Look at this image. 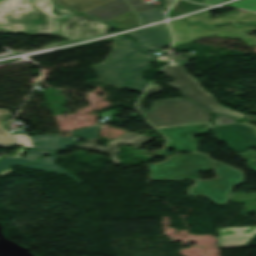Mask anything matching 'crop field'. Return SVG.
I'll use <instances>...</instances> for the list:
<instances>
[{
    "mask_svg": "<svg viewBox=\"0 0 256 256\" xmlns=\"http://www.w3.org/2000/svg\"><path fill=\"white\" fill-rule=\"evenodd\" d=\"M154 138H150L147 136H143L140 134H136L133 132H127L115 139H113L112 141L108 142L107 147H100L99 145L95 144V142L97 140H99L98 138H94V139H90L87 140V142L89 144H82L79 143L77 144L75 147H81V148H86V149H90V150H94V151H98V152H103V153H107L111 156L112 160L114 163H119L116 156H115V152H117V147L120 144H128L131 145L135 148L139 147L140 145L152 140Z\"/></svg>",
    "mask_w": 256,
    "mask_h": 256,
    "instance_id": "3316defc",
    "label": "crop field"
},
{
    "mask_svg": "<svg viewBox=\"0 0 256 256\" xmlns=\"http://www.w3.org/2000/svg\"><path fill=\"white\" fill-rule=\"evenodd\" d=\"M1 119H12L8 109H0V146L7 148L12 145V139L8 134V130L3 129Z\"/></svg>",
    "mask_w": 256,
    "mask_h": 256,
    "instance_id": "214f88e0",
    "label": "crop field"
},
{
    "mask_svg": "<svg viewBox=\"0 0 256 256\" xmlns=\"http://www.w3.org/2000/svg\"><path fill=\"white\" fill-rule=\"evenodd\" d=\"M211 15L209 12H204L201 14H197L195 16L186 18L190 23L196 24H218V23H232L233 21L249 24L256 26V13L246 12L240 10L237 16H226V17H217L216 20L210 19Z\"/></svg>",
    "mask_w": 256,
    "mask_h": 256,
    "instance_id": "22f410ed",
    "label": "crop field"
},
{
    "mask_svg": "<svg viewBox=\"0 0 256 256\" xmlns=\"http://www.w3.org/2000/svg\"><path fill=\"white\" fill-rule=\"evenodd\" d=\"M112 0H56L57 4L80 13Z\"/></svg>",
    "mask_w": 256,
    "mask_h": 256,
    "instance_id": "5142ce71",
    "label": "crop field"
},
{
    "mask_svg": "<svg viewBox=\"0 0 256 256\" xmlns=\"http://www.w3.org/2000/svg\"><path fill=\"white\" fill-rule=\"evenodd\" d=\"M213 122H214V125H218V124L232 123L236 121L229 117L216 115Z\"/></svg>",
    "mask_w": 256,
    "mask_h": 256,
    "instance_id": "ae1a2a85",
    "label": "crop field"
},
{
    "mask_svg": "<svg viewBox=\"0 0 256 256\" xmlns=\"http://www.w3.org/2000/svg\"><path fill=\"white\" fill-rule=\"evenodd\" d=\"M219 1H222V0H203V2L205 4H212V3H215V2H219Z\"/></svg>",
    "mask_w": 256,
    "mask_h": 256,
    "instance_id": "750c4746",
    "label": "crop field"
},
{
    "mask_svg": "<svg viewBox=\"0 0 256 256\" xmlns=\"http://www.w3.org/2000/svg\"><path fill=\"white\" fill-rule=\"evenodd\" d=\"M160 86L158 84H152L149 86V88L146 90V92L144 93V95L139 99L138 101V110L144 114V108H143V104L145 102V100L149 97L147 96V94H150V96L156 92H160Z\"/></svg>",
    "mask_w": 256,
    "mask_h": 256,
    "instance_id": "00972430",
    "label": "crop field"
},
{
    "mask_svg": "<svg viewBox=\"0 0 256 256\" xmlns=\"http://www.w3.org/2000/svg\"><path fill=\"white\" fill-rule=\"evenodd\" d=\"M252 170L256 171V167L251 168Z\"/></svg>",
    "mask_w": 256,
    "mask_h": 256,
    "instance_id": "1d83c4d3",
    "label": "crop field"
},
{
    "mask_svg": "<svg viewBox=\"0 0 256 256\" xmlns=\"http://www.w3.org/2000/svg\"><path fill=\"white\" fill-rule=\"evenodd\" d=\"M190 27L194 40L199 37L213 36L216 34L217 36L221 37H238L242 39L248 46H256V38L248 37L246 35V32L249 30L256 31V28L254 27L246 26L242 28H230L228 26H224L220 28H204L201 26L193 25Z\"/></svg>",
    "mask_w": 256,
    "mask_h": 256,
    "instance_id": "d1516ede",
    "label": "crop field"
},
{
    "mask_svg": "<svg viewBox=\"0 0 256 256\" xmlns=\"http://www.w3.org/2000/svg\"><path fill=\"white\" fill-rule=\"evenodd\" d=\"M50 152L52 151L29 149V151L27 152V158L3 156L0 159V170H3L9 166L36 161V159L40 155L50 153Z\"/></svg>",
    "mask_w": 256,
    "mask_h": 256,
    "instance_id": "d9b57169",
    "label": "crop field"
},
{
    "mask_svg": "<svg viewBox=\"0 0 256 256\" xmlns=\"http://www.w3.org/2000/svg\"><path fill=\"white\" fill-rule=\"evenodd\" d=\"M148 167L152 179H195L194 186L189 188V195H205L217 204H227L231 186L243 181L241 171L211 160L207 155H174L162 163L148 164ZM210 169H214L219 178L199 180L197 171Z\"/></svg>",
    "mask_w": 256,
    "mask_h": 256,
    "instance_id": "8a807250",
    "label": "crop field"
},
{
    "mask_svg": "<svg viewBox=\"0 0 256 256\" xmlns=\"http://www.w3.org/2000/svg\"><path fill=\"white\" fill-rule=\"evenodd\" d=\"M56 8L62 15L50 11ZM78 14L56 6L52 0H0V32L60 37V22Z\"/></svg>",
    "mask_w": 256,
    "mask_h": 256,
    "instance_id": "ac0d7876",
    "label": "crop field"
},
{
    "mask_svg": "<svg viewBox=\"0 0 256 256\" xmlns=\"http://www.w3.org/2000/svg\"><path fill=\"white\" fill-rule=\"evenodd\" d=\"M16 144L29 147V148H34L29 136L27 134H13Z\"/></svg>",
    "mask_w": 256,
    "mask_h": 256,
    "instance_id": "4177f3b9",
    "label": "crop field"
},
{
    "mask_svg": "<svg viewBox=\"0 0 256 256\" xmlns=\"http://www.w3.org/2000/svg\"><path fill=\"white\" fill-rule=\"evenodd\" d=\"M130 35L136 37L137 46L145 50L168 47L172 43L167 24L132 32Z\"/></svg>",
    "mask_w": 256,
    "mask_h": 256,
    "instance_id": "5a996713",
    "label": "crop field"
},
{
    "mask_svg": "<svg viewBox=\"0 0 256 256\" xmlns=\"http://www.w3.org/2000/svg\"><path fill=\"white\" fill-rule=\"evenodd\" d=\"M31 139L35 145V148L54 151H59L63 148L75 144L72 136L69 138H64L58 134L33 136Z\"/></svg>",
    "mask_w": 256,
    "mask_h": 256,
    "instance_id": "cbeb9de0",
    "label": "crop field"
},
{
    "mask_svg": "<svg viewBox=\"0 0 256 256\" xmlns=\"http://www.w3.org/2000/svg\"><path fill=\"white\" fill-rule=\"evenodd\" d=\"M130 5L133 7L136 13L144 12L149 10H155L156 8L152 5H143L141 0H127Z\"/></svg>",
    "mask_w": 256,
    "mask_h": 256,
    "instance_id": "a9b5d70f",
    "label": "crop field"
},
{
    "mask_svg": "<svg viewBox=\"0 0 256 256\" xmlns=\"http://www.w3.org/2000/svg\"><path fill=\"white\" fill-rule=\"evenodd\" d=\"M108 23L118 29H124V28L139 25L133 11L121 17H118Z\"/></svg>",
    "mask_w": 256,
    "mask_h": 256,
    "instance_id": "bc2a9ffb",
    "label": "crop field"
},
{
    "mask_svg": "<svg viewBox=\"0 0 256 256\" xmlns=\"http://www.w3.org/2000/svg\"><path fill=\"white\" fill-rule=\"evenodd\" d=\"M145 117L156 128L210 122V112L181 97L153 102Z\"/></svg>",
    "mask_w": 256,
    "mask_h": 256,
    "instance_id": "412701ff",
    "label": "crop field"
},
{
    "mask_svg": "<svg viewBox=\"0 0 256 256\" xmlns=\"http://www.w3.org/2000/svg\"><path fill=\"white\" fill-rule=\"evenodd\" d=\"M109 29H111V27L106 23L79 14L67 17L61 22V37L64 39L76 40L97 36Z\"/></svg>",
    "mask_w": 256,
    "mask_h": 256,
    "instance_id": "dd49c442",
    "label": "crop field"
},
{
    "mask_svg": "<svg viewBox=\"0 0 256 256\" xmlns=\"http://www.w3.org/2000/svg\"><path fill=\"white\" fill-rule=\"evenodd\" d=\"M162 71L166 77H174L176 79V82L166 84L179 89L184 97L192 99L194 102L200 104L209 111L226 116H232L238 120L243 116L242 113L229 110L218 105L215 102V98L200 87L198 81H196L189 74L185 73L186 71L184 72L182 65L167 66L163 68Z\"/></svg>",
    "mask_w": 256,
    "mask_h": 256,
    "instance_id": "f4fd0767",
    "label": "crop field"
},
{
    "mask_svg": "<svg viewBox=\"0 0 256 256\" xmlns=\"http://www.w3.org/2000/svg\"><path fill=\"white\" fill-rule=\"evenodd\" d=\"M122 2H124V0H115V1H113V2L107 3V4L102 5V6H99V7H97V8H94V9H92V10H90V11L84 13V14L91 15V14H93V13H96V12H98V11L104 10V9H106V8H109V7H111V6H114V5L119 4V3H122Z\"/></svg>",
    "mask_w": 256,
    "mask_h": 256,
    "instance_id": "eef30255",
    "label": "crop field"
},
{
    "mask_svg": "<svg viewBox=\"0 0 256 256\" xmlns=\"http://www.w3.org/2000/svg\"><path fill=\"white\" fill-rule=\"evenodd\" d=\"M243 123H245V124H247V125H250V126L256 128V126H254V125H252V124H250V123H248V122H243Z\"/></svg>",
    "mask_w": 256,
    "mask_h": 256,
    "instance_id": "bd1437ed",
    "label": "crop field"
},
{
    "mask_svg": "<svg viewBox=\"0 0 256 256\" xmlns=\"http://www.w3.org/2000/svg\"><path fill=\"white\" fill-rule=\"evenodd\" d=\"M56 154L57 153H52L50 157H43V158L39 159L38 162L29 163V164L20 165V166L29 167V168L38 169V170L62 173V174H65V175L69 176L70 178H72L76 182L80 183L77 179L72 177L70 174H68L62 168L53 164V162L56 158ZM39 161H40V163H39Z\"/></svg>",
    "mask_w": 256,
    "mask_h": 256,
    "instance_id": "733c2abd",
    "label": "crop field"
},
{
    "mask_svg": "<svg viewBox=\"0 0 256 256\" xmlns=\"http://www.w3.org/2000/svg\"><path fill=\"white\" fill-rule=\"evenodd\" d=\"M99 128H101V127L96 125V126H92V127L72 131V133H74L75 135H77L81 139H87V138L98 136Z\"/></svg>",
    "mask_w": 256,
    "mask_h": 256,
    "instance_id": "dafd665d",
    "label": "crop field"
},
{
    "mask_svg": "<svg viewBox=\"0 0 256 256\" xmlns=\"http://www.w3.org/2000/svg\"><path fill=\"white\" fill-rule=\"evenodd\" d=\"M174 0H165L164 9L167 10Z\"/></svg>",
    "mask_w": 256,
    "mask_h": 256,
    "instance_id": "d3111659",
    "label": "crop field"
},
{
    "mask_svg": "<svg viewBox=\"0 0 256 256\" xmlns=\"http://www.w3.org/2000/svg\"><path fill=\"white\" fill-rule=\"evenodd\" d=\"M219 140L228 143L234 151H242L244 147L256 146V134L253 129L239 123L213 126ZM256 157V156H255Z\"/></svg>",
    "mask_w": 256,
    "mask_h": 256,
    "instance_id": "d8731c3e",
    "label": "crop field"
},
{
    "mask_svg": "<svg viewBox=\"0 0 256 256\" xmlns=\"http://www.w3.org/2000/svg\"><path fill=\"white\" fill-rule=\"evenodd\" d=\"M131 11L130 7L126 4V2L119 4L117 6L111 7L99 13L93 14L91 16L99 18L105 22H108L118 16H121L127 12Z\"/></svg>",
    "mask_w": 256,
    "mask_h": 256,
    "instance_id": "4a817a6b",
    "label": "crop field"
},
{
    "mask_svg": "<svg viewBox=\"0 0 256 256\" xmlns=\"http://www.w3.org/2000/svg\"><path fill=\"white\" fill-rule=\"evenodd\" d=\"M137 16L141 24L151 22V21H157L159 19H164V13H162L160 9L155 11L139 13L137 14Z\"/></svg>",
    "mask_w": 256,
    "mask_h": 256,
    "instance_id": "92a150f3",
    "label": "crop field"
},
{
    "mask_svg": "<svg viewBox=\"0 0 256 256\" xmlns=\"http://www.w3.org/2000/svg\"><path fill=\"white\" fill-rule=\"evenodd\" d=\"M208 128L209 123L158 129L168 138L162 152L166 153L169 148L175 149L176 152H196L195 140L190 138V134H208Z\"/></svg>",
    "mask_w": 256,
    "mask_h": 256,
    "instance_id": "e52e79f7",
    "label": "crop field"
},
{
    "mask_svg": "<svg viewBox=\"0 0 256 256\" xmlns=\"http://www.w3.org/2000/svg\"><path fill=\"white\" fill-rule=\"evenodd\" d=\"M218 248L246 247L256 234V226L217 228Z\"/></svg>",
    "mask_w": 256,
    "mask_h": 256,
    "instance_id": "28ad6ade",
    "label": "crop field"
},
{
    "mask_svg": "<svg viewBox=\"0 0 256 256\" xmlns=\"http://www.w3.org/2000/svg\"><path fill=\"white\" fill-rule=\"evenodd\" d=\"M154 57L135 47L130 39L116 37L113 41L112 53L102 64L91 67L102 83L143 91L148 82L144 81L138 73L148 69V62Z\"/></svg>",
    "mask_w": 256,
    "mask_h": 256,
    "instance_id": "34b2d1b8",
    "label": "crop field"
},
{
    "mask_svg": "<svg viewBox=\"0 0 256 256\" xmlns=\"http://www.w3.org/2000/svg\"><path fill=\"white\" fill-rule=\"evenodd\" d=\"M226 6H233L256 11V0H243Z\"/></svg>",
    "mask_w": 256,
    "mask_h": 256,
    "instance_id": "730fd06b",
    "label": "crop field"
}]
</instances>
